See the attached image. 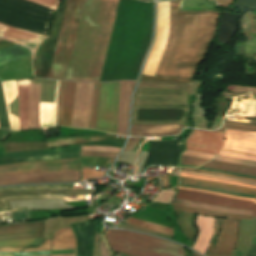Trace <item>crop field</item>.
Wrapping results in <instances>:
<instances>
[{
	"mask_svg": "<svg viewBox=\"0 0 256 256\" xmlns=\"http://www.w3.org/2000/svg\"><path fill=\"white\" fill-rule=\"evenodd\" d=\"M140 140H141V138L131 137L129 140V144L126 147L125 151H133V149L136 147V145L138 144V142Z\"/></svg>",
	"mask_w": 256,
	"mask_h": 256,
	"instance_id": "obj_46",
	"label": "crop field"
},
{
	"mask_svg": "<svg viewBox=\"0 0 256 256\" xmlns=\"http://www.w3.org/2000/svg\"><path fill=\"white\" fill-rule=\"evenodd\" d=\"M180 169L192 170V171H196V172H202V173H208V174H215V175L227 176V177H232V178H237V179H243V180H249V181H255V182H256V180H254V179H248V178H243V177H238V176H233V175H227V174H221V173L203 171V170H198V169H189V168H180Z\"/></svg>",
	"mask_w": 256,
	"mask_h": 256,
	"instance_id": "obj_42",
	"label": "crop field"
},
{
	"mask_svg": "<svg viewBox=\"0 0 256 256\" xmlns=\"http://www.w3.org/2000/svg\"><path fill=\"white\" fill-rule=\"evenodd\" d=\"M45 222L0 226V241L43 238Z\"/></svg>",
	"mask_w": 256,
	"mask_h": 256,
	"instance_id": "obj_12",
	"label": "crop field"
},
{
	"mask_svg": "<svg viewBox=\"0 0 256 256\" xmlns=\"http://www.w3.org/2000/svg\"><path fill=\"white\" fill-rule=\"evenodd\" d=\"M214 220L215 218L198 216L197 225L200 229V233L196 244L191 248L203 254L206 253L212 235Z\"/></svg>",
	"mask_w": 256,
	"mask_h": 256,
	"instance_id": "obj_19",
	"label": "crop field"
},
{
	"mask_svg": "<svg viewBox=\"0 0 256 256\" xmlns=\"http://www.w3.org/2000/svg\"><path fill=\"white\" fill-rule=\"evenodd\" d=\"M183 126L178 125H157L139 126L132 125L130 136H160L167 134H177Z\"/></svg>",
	"mask_w": 256,
	"mask_h": 256,
	"instance_id": "obj_21",
	"label": "crop field"
},
{
	"mask_svg": "<svg viewBox=\"0 0 256 256\" xmlns=\"http://www.w3.org/2000/svg\"><path fill=\"white\" fill-rule=\"evenodd\" d=\"M120 82L102 83L96 129L116 133Z\"/></svg>",
	"mask_w": 256,
	"mask_h": 256,
	"instance_id": "obj_5",
	"label": "crop field"
},
{
	"mask_svg": "<svg viewBox=\"0 0 256 256\" xmlns=\"http://www.w3.org/2000/svg\"><path fill=\"white\" fill-rule=\"evenodd\" d=\"M112 138V136L107 135H85V136H68V137H56L46 139V144L49 149L61 147L65 145L85 143V142H94L104 139Z\"/></svg>",
	"mask_w": 256,
	"mask_h": 256,
	"instance_id": "obj_22",
	"label": "crop field"
},
{
	"mask_svg": "<svg viewBox=\"0 0 256 256\" xmlns=\"http://www.w3.org/2000/svg\"><path fill=\"white\" fill-rule=\"evenodd\" d=\"M29 91H30V79L17 81L20 130L29 129V122H28Z\"/></svg>",
	"mask_w": 256,
	"mask_h": 256,
	"instance_id": "obj_18",
	"label": "crop field"
},
{
	"mask_svg": "<svg viewBox=\"0 0 256 256\" xmlns=\"http://www.w3.org/2000/svg\"><path fill=\"white\" fill-rule=\"evenodd\" d=\"M247 256H256V254L248 253Z\"/></svg>",
	"mask_w": 256,
	"mask_h": 256,
	"instance_id": "obj_53",
	"label": "crop field"
},
{
	"mask_svg": "<svg viewBox=\"0 0 256 256\" xmlns=\"http://www.w3.org/2000/svg\"><path fill=\"white\" fill-rule=\"evenodd\" d=\"M85 1H68L49 78L67 79ZM118 1H86L67 80L99 81Z\"/></svg>",
	"mask_w": 256,
	"mask_h": 256,
	"instance_id": "obj_1",
	"label": "crop field"
},
{
	"mask_svg": "<svg viewBox=\"0 0 256 256\" xmlns=\"http://www.w3.org/2000/svg\"><path fill=\"white\" fill-rule=\"evenodd\" d=\"M99 256H110L109 251L102 239V236L99 238Z\"/></svg>",
	"mask_w": 256,
	"mask_h": 256,
	"instance_id": "obj_44",
	"label": "crop field"
},
{
	"mask_svg": "<svg viewBox=\"0 0 256 256\" xmlns=\"http://www.w3.org/2000/svg\"><path fill=\"white\" fill-rule=\"evenodd\" d=\"M223 149L256 155V132L226 129Z\"/></svg>",
	"mask_w": 256,
	"mask_h": 256,
	"instance_id": "obj_13",
	"label": "crop field"
},
{
	"mask_svg": "<svg viewBox=\"0 0 256 256\" xmlns=\"http://www.w3.org/2000/svg\"><path fill=\"white\" fill-rule=\"evenodd\" d=\"M71 225L53 232L52 250L76 249V240Z\"/></svg>",
	"mask_w": 256,
	"mask_h": 256,
	"instance_id": "obj_23",
	"label": "crop field"
},
{
	"mask_svg": "<svg viewBox=\"0 0 256 256\" xmlns=\"http://www.w3.org/2000/svg\"><path fill=\"white\" fill-rule=\"evenodd\" d=\"M171 204L195 207V208H199V209L211 210V211H216V212H224V213H232V214H242V215H252V211L226 209V208H220V207H215V206H211V205L194 203V202H188V201H182V200H177V199H174L171 202Z\"/></svg>",
	"mask_w": 256,
	"mask_h": 256,
	"instance_id": "obj_28",
	"label": "crop field"
},
{
	"mask_svg": "<svg viewBox=\"0 0 256 256\" xmlns=\"http://www.w3.org/2000/svg\"><path fill=\"white\" fill-rule=\"evenodd\" d=\"M191 256H199V255H197V254H195V253L192 252Z\"/></svg>",
	"mask_w": 256,
	"mask_h": 256,
	"instance_id": "obj_54",
	"label": "crop field"
},
{
	"mask_svg": "<svg viewBox=\"0 0 256 256\" xmlns=\"http://www.w3.org/2000/svg\"><path fill=\"white\" fill-rule=\"evenodd\" d=\"M133 81H123L120 87L119 115L117 133L125 134L127 129V119L129 111L130 95L134 86Z\"/></svg>",
	"mask_w": 256,
	"mask_h": 256,
	"instance_id": "obj_16",
	"label": "crop field"
},
{
	"mask_svg": "<svg viewBox=\"0 0 256 256\" xmlns=\"http://www.w3.org/2000/svg\"><path fill=\"white\" fill-rule=\"evenodd\" d=\"M183 150V140L151 142L145 164L177 166L179 153Z\"/></svg>",
	"mask_w": 256,
	"mask_h": 256,
	"instance_id": "obj_8",
	"label": "crop field"
},
{
	"mask_svg": "<svg viewBox=\"0 0 256 256\" xmlns=\"http://www.w3.org/2000/svg\"><path fill=\"white\" fill-rule=\"evenodd\" d=\"M51 240H45L38 248H0V252H24L50 250Z\"/></svg>",
	"mask_w": 256,
	"mask_h": 256,
	"instance_id": "obj_33",
	"label": "crop field"
},
{
	"mask_svg": "<svg viewBox=\"0 0 256 256\" xmlns=\"http://www.w3.org/2000/svg\"><path fill=\"white\" fill-rule=\"evenodd\" d=\"M125 228L141 230V231L149 232V233H152V234H155V235H159V236H162V237H165V238H170V239L173 238L172 236L164 235V234H161V233H157V232H154V231L146 230V229L139 228V227L132 226V225H128V224H126Z\"/></svg>",
	"mask_w": 256,
	"mask_h": 256,
	"instance_id": "obj_45",
	"label": "crop field"
},
{
	"mask_svg": "<svg viewBox=\"0 0 256 256\" xmlns=\"http://www.w3.org/2000/svg\"><path fill=\"white\" fill-rule=\"evenodd\" d=\"M110 246L114 251L123 252L131 255H135V256H162V255L152 254V253L144 252L137 249H131V248H127L119 245L110 244Z\"/></svg>",
	"mask_w": 256,
	"mask_h": 256,
	"instance_id": "obj_32",
	"label": "crop field"
},
{
	"mask_svg": "<svg viewBox=\"0 0 256 256\" xmlns=\"http://www.w3.org/2000/svg\"><path fill=\"white\" fill-rule=\"evenodd\" d=\"M168 177L163 175V187H169Z\"/></svg>",
	"mask_w": 256,
	"mask_h": 256,
	"instance_id": "obj_50",
	"label": "crop field"
},
{
	"mask_svg": "<svg viewBox=\"0 0 256 256\" xmlns=\"http://www.w3.org/2000/svg\"><path fill=\"white\" fill-rule=\"evenodd\" d=\"M76 254L54 255V256H75Z\"/></svg>",
	"mask_w": 256,
	"mask_h": 256,
	"instance_id": "obj_51",
	"label": "crop field"
},
{
	"mask_svg": "<svg viewBox=\"0 0 256 256\" xmlns=\"http://www.w3.org/2000/svg\"><path fill=\"white\" fill-rule=\"evenodd\" d=\"M169 1L167 40L154 76L191 79L215 32L217 11L176 12Z\"/></svg>",
	"mask_w": 256,
	"mask_h": 256,
	"instance_id": "obj_2",
	"label": "crop field"
},
{
	"mask_svg": "<svg viewBox=\"0 0 256 256\" xmlns=\"http://www.w3.org/2000/svg\"><path fill=\"white\" fill-rule=\"evenodd\" d=\"M30 1L45 5L55 11H56V9L58 7V3H59V0H30Z\"/></svg>",
	"mask_w": 256,
	"mask_h": 256,
	"instance_id": "obj_41",
	"label": "crop field"
},
{
	"mask_svg": "<svg viewBox=\"0 0 256 256\" xmlns=\"http://www.w3.org/2000/svg\"><path fill=\"white\" fill-rule=\"evenodd\" d=\"M178 224L187 238L194 240L196 230L193 227L194 214L176 211Z\"/></svg>",
	"mask_w": 256,
	"mask_h": 256,
	"instance_id": "obj_29",
	"label": "crop field"
},
{
	"mask_svg": "<svg viewBox=\"0 0 256 256\" xmlns=\"http://www.w3.org/2000/svg\"><path fill=\"white\" fill-rule=\"evenodd\" d=\"M63 85H64V81H60L59 93H58V102H57V112H56V125H60Z\"/></svg>",
	"mask_w": 256,
	"mask_h": 256,
	"instance_id": "obj_38",
	"label": "crop field"
},
{
	"mask_svg": "<svg viewBox=\"0 0 256 256\" xmlns=\"http://www.w3.org/2000/svg\"><path fill=\"white\" fill-rule=\"evenodd\" d=\"M42 79H31V91L29 101L30 129L39 126V101Z\"/></svg>",
	"mask_w": 256,
	"mask_h": 256,
	"instance_id": "obj_20",
	"label": "crop field"
},
{
	"mask_svg": "<svg viewBox=\"0 0 256 256\" xmlns=\"http://www.w3.org/2000/svg\"><path fill=\"white\" fill-rule=\"evenodd\" d=\"M75 82L65 81L62 107L73 108ZM72 109L62 108L61 125L70 126Z\"/></svg>",
	"mask_w": 256,
	"mask_h": 256,
	"instance_id": "obj_24",
	"label": "crop field"
},
{
	"mask_svg": "<svg viewBox=\"0 0 256 256\" xmlns=\"http://www.w3.org/2000/svg\"><path fill=\"white\" fill-rule=\"evenodd\" d=\"M0 131H1V135H2V139H3V140H4L7 136L10 135V131H8V130H2V129H0Z\"/></svg>",
	"mask_w": 256,
	"mask_h": 256,
	"instance_id": "obj_49",
	"label": "crop field"
},
{
	"mask_svg": "<svg viewBox=\"0 0 256 256\" xmlns=\"http://www.w3.org/2000/svg\"><path fill=\"white\" fill-rule=\"evenodd\" d=\"M220 155L226 156V157H233V158H240V159L256 161V157H254V156H248V155H243V154H238V153H233V152L222 151Z\"/></svg>",
	"mask_w": 256,
	"mask_h": 256,
	"instance_id": "obj_40",
	"label": "crop field"
},
{
	"mask_svg": "<svg viewBox=\"0 0 256 256\" xmlns=\"http://www.w3.org/2000/svg\"><path fill=\"white\" fill-rule=\"evenodd\" d=\"M131 218H128V219L124 220L123 222L137 225V226L144 227V228H148L151 230H155V231L162 232V233L169 234V235L173 236V229H171V228H167V227H163V226H159V225H155V224H151V223H147V222H143V221H139V220H135V219H131Z\"/></svg>",
	"mask_w": 256,
	"mask_h": 256,
	"instance_id": "obj_30",
	"label": "crop field"
},
{
	"mask_svg": "<svg viewBox=\"0 0 256 256\" xmlns=\"http://www.w3.org/2000/svg\"><path fill=\"white\" fill-rule=\"evenodd\" d=\"M1 83L5 94L10 127L13 130H19L17 115L18 100L16 92V80Z\"/></svg>",
	"mask_w": 256,
	"mask_h": 256,
	"instance_id": "obj_17",
	"label": "crop field"
},
{
	"mask_svg": "<svg viewBox=\"0 0 256 256\" xmlns=\"http://www.w3.org/2000/svg\"><path fill=\"white\" fill-rule=\"evenodd\" d=\"M207 161L208 159L182 156L180 164L199 166Z\"/></svg>",
	"mask_w": 256,
	"mask_h": 256,
	"instance_id": "obj_36",
	"label": "crop field"
},
{
	"mask_svg": "<svg viewBox=\"0 0 256 256\" xmlns=\"http://www.w3.org/2000/svg\"><path fill=\"white\" fill-rule=\"evenodd\" d=\"M58 84L59 81L43 79L40 102L41 127L55 125Z\"/></svg>",
	"mask_w": 256,
	"mask_h": 256,
	"instance_id": "obj_10",
	"label": "crop field"
},
{
	"mask_svg": "<svg viewBox=\"0 0 256 256\" xmlns=\"http://www.w3.org/2000/svg\"><path fill=\"white\" fill-rule=\"evenodd\" d=\"M202 167L226 170V171H232V172H236V173L256 176V168L232 164V163L211 161V162L203 165Z\"/></svg>",
	"mask_w": 256,
	"mask_h": 256,
	"instance_id": "obj_27",
	"label": "crop field"
},
{
	"mask_svg": "<svg viewBox=\"0 0 256 256\" xmlns=\"http://www.w3.org/2000/svg\"><path fill=\"white\" fill-rule=\"evenodd\" d=\"M200 84H201L200 81H193L192 83H170V82H162V81L140 80L138 87H161V88L187 89L188 94L194 95V93L196 92Z\"/></svg>",
	"mask_w": 256,
	"mask_h": 256,
	"instance_id": "obj_25",
	"label": "crop field"
},
{
	"mask_svg": "<svg viewBox=\"0 0 256 256\" xmlns=\"http://www.w3.org/2000/svg\"><path fill=\"white\" fill-rule=\"evenodd\" d=\"M1 40V39H0Z\"/></svg>",
	"mask_w": 256,
	"mask_h": 256,
	"instance_id": "obj_57",
	"label": "crop field"
},
{
	"mask_svg": "<svg viewBox=\"0 0 256 256\" xmlns=\"http://www.w3.org/2000/svg\"><path fill=\"white\" fill-rule=\"evenodd\" d=\"M105 172H98L96 169H82L83 180L103 176Z\"/></svg>",
	"mask_w": 256,
	"mask_h": 256,
	"instance_id": "obj_39",
	"label": "crop field"
},
{
	"mask_svg": "<svg viewBox=\"0 0 256 256\" xmlns=\"http://www.w3.org/2000/svg\"><path fill=\"white\" fill-rule=\"evenodd\" d=\"M180 176H183V177H190V178H196V179H203V180H210V181H217V182H223V183H229V184H235V185H241V186H248V187H254V188H256V186L247 185V184H243V183H237V182H231V181H225V180H219V179H213V178L195 176V175H190V174H186V173H181Z\"/></svg>",
	"mask_w": 256,
	"mask_h": 256,
	"instance_id": "obj_37",
	"label": "crop field"
},
{
	"mask_svg": "<svg viewBox=\"0 0 256 256\" xmlns=\"http://www.w3.org/2000/svg\"><path fill=\"white\" fill-rule=\"evenodd\" d=\"M180 183L196 184V185L214 187V188L225 189V190L236 191V192L247 193V194H256V189H249V188L235 186V185L196 180V179H190V178L180 177Z\"/></svg>",
	"mask_w": 256,
	"mask_h": 256,
	"instance_id": "obj_26",
	"label": "crop field"
},
{
	"mask_svg": "<svg viewBox=\"0 0 256 256\" xmlns=\"http://www.w3.org/2000/svg\"><path fill=\"white\" fill-rule=\"evenodd\" d=\"M177 198L216 206L253 210V216H256V204H253V202L250 201L230 199L210 194L184 190H179Z\"/></svg>",
	"mask_w": 256,
	"mask_h": 256,
	"instance_id": "obj_9",
	"label": "crop field"
},
{
	"mask_svg": "<svg viewBox=\"0 0 256 256\" xmlns=\"http://www.w3.org/2000/svg\"><path fill=\"white\" fill-rule=\"evenodd\" d=\"M178 188H181V189H188V190H194V191H200V192H206V193H211V194L220 195V196H224V197H231V198H237V199H243V200L255 201V199L240 198V197H235V196L225 195V194L216 193V192H211V191H206V190L189 189V188H183V187H178ZM255 203H256V201H255Z\"/></svg>",
	"mask_w": 256,
	"mask_h": 256,
	"instance_id": "obj_43",
	"label": "crop field"
},
{
	"mask_svg": "<svg viewBox=\"0 0 256 256\" xmlns=\"http://www.w3.org/2000/svg\"><path fill=\"white\" fill-rule=\"evenodd\" d=\"M44 239H27L0 242V247L38 246Z\"/></svg>",
	"mask_w": 256,
	"mask_h": 256,
	"instance_id": "obj_31",
	"label": "crop field"
},
{
	"mask_svg": "<svg viewBox=\"0 0 256 256\" xmlns=\"http://www.w3.org/2000/svg\"><path fill=\"white\" fill-rule=\"evenodd\" d=\"M95 83L76 82L71 126L89 128Z\"/></svg>",
	"mask_w": 256,
	"mask_h": 256,
	"instance_id": "obj_7",
	"label": "crop field"
},
{
	"mask_svg": "<svg viewBox=\"0 0 256 256\" xmlns=\"http://www.w3.org/2000/svg\"><path fill=\"white\" fill-rule=\"evenodd\" d=\"M248 252L256 253V249H252V248H250Z\"/></svg>",
	"mask_w": 256,
	"mask_h": 256,
	"instance_id": "obj_52",
	"label": "crop field"
},
{
	"mask_svg": "<svg viewBox=\"0 0 256 256\" xmlns=\"http://www.w3.org/2000/svg\"><path fill=\"white\" fill-rule=\"evenodd\" d=\"M95 222L74 224L73 229L78 239L77 256H91Z\"/></svg>",
	"mask_w": 256,
	"mask_h": 256,
	"instance_id": "obj_15",
	"label": "crop field"
},
{
	"mask_svg": "<svg viewBox=\"0 0 256 256\" xmlns=\"http://www.w3.org/2000/svg\"><path fill=\"white\" fill-rule=\"evenodd\" d=\"M173 207L175 210L191 212V213H196V214H201V215H206V216H211V217L252 219V217L218 214V213L205 212V211L188 209V208L177 207V206H173ZM221 221H222V219H217V221H216V225H215L214 233H213V240L211 242V246L209 248L208 254H213V250H214V246H215V243L217 240ZM235 222H236V219H224L222 230H221L220 237H219L217 247H216L214 254H216V255H229L230 254L231 246H232L234 238H235Z\"/></svg>",
	"mask_w": 256,
	"mask_h": 256,
	"instance_id": "obj_4",
	"label": "crop field"
},
{
	"mask_svg": "<svg viewBox=\"0 0 256 256\" xmlns=\"http://www.w3.org/2000/svg\"><path fill=\"white\" fill-rule=\"evenodd\" d=\"M65 170H79V158L25 162L0 166V174L55 172Z\"/></svg>",
	"mask_w": 256,
	"mask_h": 256,
	"instance_id": "obj_6",
	"label": "crop field"
},
{
	"mask_svg": "<svg viewBox=\"0 0 256 256\" xmlns=\"http://www.w3.org/2000/svg\"><path fill=\"white\" fill-rule=\"evenodd\" d=\"M108 242L171 256H185L182 246L129 231L106 230Z\"/></svg>",
	"mask_w": 256,
	"mask_h": 256,
	"instance_id": "obj_3",
	"label": "crop field"
},
{
	"mask_svg": "<svg viewBox=\"0 0 256 256\" xmlns=\"http://www.w3.org/2000/svg\"><path fill=\"white\" fill-rule=\"evenodd\" d=\"M222 143L221 133L193 130L186 139V149L218 155Z\"/></svg>",
	"mask_w": 256,
	"mask_h": 256,
	"instance_id": "obj_11",
	"label": "crop field"
},
{
	"mask_svg": "<svg viewBox=\"0 0 256 256\" xmlns=\"http://www.w3.org/2000/svg\"><path fill=\"white\" fill-rule=\"evenodd\" d=\"M226 127L249 130V131L256 130V127L237 125V124H229V123H226Z\"/></svg>",
	"mask_w": 256,
	"mask_h": 256,
	"instance_id": "obj_47",
	"label": "crop field"
},
{
	"mask_svg": "<svg viewBox=\"0 0 256 256\" xmlns=\"http://www.w3.org/2000/svg\"><path fill=\"white\" fill-rule=\"evenodd\" d=\"M101 83H96L90 128L95 129Z\"/></svg>",
	"mask_w": 256,
	"mask_h": 256,
	"instance_id": "obj_35",
	"label": "crop field"
},
{
	"mask_svg": "<svg viewBox=\"0 0 256 256\" xmlns=\"http://www.w3.org/2000/svg\"><path fill=\"white\" fill-rule=\"evenodd\" d=\"M250 247L256 248V245H254V244H251V245H250Z\"/></svg>",
	"mask_w": 256,
	"mask_h": 256,
	"instance_id": "obj_55",
	"label": "crop field"
},
{
	"mask_svg": "<svg viewBox=\"0 0 256 256\" xmlns=\"http://www.w3.org/2000/svg\"><path fill=\"white\" fill-rule=\"evenodd\" d=\"M0 128L10 129L8 119H7L5 99H4V94L2 91L1 84H0Z\"/></svg>",
	"mask_w": 256,
	"mask_h": 256,
	"instance_id": "obj_34",
	"label": "crop field"
},
{
	"mask_svg": "<svg viewBox=\"0 0 256 256\" xmlns=\"http://www.w3.org/2000/svg\"><path fill=\"white\" fill-rule=\"evenodd\" d=\"M123 256H130V255H126V254H122Z\"/></svg>",
	"mask_w": 256,
	"mask_h": 256,
	"instance_id": "obj_56",
	"label": "crop field"
},
{
	"mask_svg": "<svg viewBox=\"0 0 256 256\" xmlns=\"http://www.w3.org/2000/svg\"><path fill=\"white\" fill-rule=\"evenodd\" d=\"M38 34L14 29L6 25L0 24V37L7 40L22 44L30 47L31 43L38 37ZM46 38V36L40 35L31 45V50L34 54L37 46Z\"/></svg>",
	"mask_w": 256,
	"mask_h": 256,
	"instance_id": "obj_14",
	"label": "crop field"
},
{
	"mask_svg": "<svg viewBox=\"0 0 256 256\" xmlns=\"http://www.w3.org/2000/svg\"><path fill=\"white\" fill-rule=\"evenodd\" d=\"M12 44H14V43L1 40V41H0V49H1V48H4V47H6V46L12 45Z\"/></svg>",
	"mask_w": 256,
	"mask_h": 256,
	"instance_id": "obj_48",
	"label": "crop field"
}]
</instances>
